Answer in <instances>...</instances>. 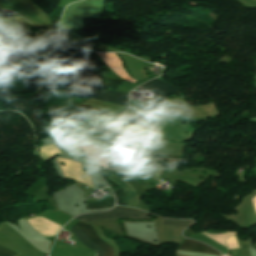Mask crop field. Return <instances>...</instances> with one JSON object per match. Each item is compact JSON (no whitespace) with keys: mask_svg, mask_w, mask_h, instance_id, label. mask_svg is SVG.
Listing matches in <instances>:
<instances>
[{"mask_svg":"<svg viewBox=\"0 0 256 256\" xmlns=\"http://www.w3.org/2000/svg\"><path fill=\"white\" fill-rule=\"evenodd\" d=\"M114 193H115L116 198H117V204L126 206V195L123 192V190L119 188L116 191H114Z\"/></svg>","mask_w":256,"mask_h":256,"instance_id":"obj_10","label":"crop field"},{"mask_svg":"<svg viewBox=\"0 0 256 256\" xmlns=\"http://www.w3.org/2000/svg\"><path fill=\"white\" fill-rule=\"evenodd\" d=\"M207 246L198 241L186 239L185 242L181 245V247L179 249L185 250V251L211 253V254L218 255L219 252H217Z\"/></svg>","mask_w":256,"mask_h":256,"instance_id":"obj_7","label":"crop field"},{"mask_svg":"<svg viewBox=\"0 0 256 256\" xmlns=\"http://www.w3.org/2000/svg\"><path fill=\"white\" fill-rule=\"evenodd\" d=\"M127 95L125 93L108 91L95 94L92 98L127 106Z\"/></svg>","mask_w":256,"mask_h":256,"instance_id":"obj_6","label":"crop field"},{"mask_svg":"<svg viewBox=\"0 0 256 256\" xmlns=\"http://www.w3.org/2000/svg\"><path fill=\"white\" fill-rule=\"evenodd\" d=\"M214 238V237H213ZM218 241V240H217ZM228 254V253H227ZM227 254H225V255H227Z\"/></svg>","mask_w":256,"mask_h":256,"instance_id":"obj_13","label":"crop field"},{"mask_svg":"<svg viewBox=\"0 0 256 256\" xmlns=\"http://www.w3.org/2000/svg\"><path fill=\"white\" fill-rule=\"evenodd\" d=\"M130 124H140V125H150L152 126L147 120H145L142 115L139 112L128 114V115H123L120 117L115 118V126H120V125H130ZM136 133L128 134V135H133ZM124 135V137L128 136Z\"/></svg>","mask_w":256,"mask_h":256,"instance_id":"obj_5","label":"crop field"},{"mask_svg":"<svg viewBox=\"0 0 256 256\" xmlns=\"http://www.w3.org/2000/svg\"><path fill=\"white\" fill-rule=\"evenodd\" d=\"M113 199H105L101 201H89L86 209L104 208L113 206Z\"/></svg>","mask_w":256,"mask_h":256,"instance_id":"obj_8","label":"crop field"},{"mask_svg":"<svg viewBox=\"0 0 256 256\" xmlns=\"http://www.w3.org/2000/svg\"><path fill=\"white\" fill-rule=\"evenodd\" d=\"M141 87H144L146 89H149L151 91L155 92L154 98L151 99L149 108L154 109H164L166 99L169 94H178V89L167 84L164 82H161L157 79L152 80L145 83Z\"/></svg>","mask_w":256,"mask_h":256,"instance_id":"obj_3","label":"crop field"},{"mask_svg":"<svg viewBox=\"0 0 256 256\" xmlns=\"http://www.w3.org/2000/svg\"><path fill=\"white\" fill-rule=\"evenodd\" d=\"M162 225H180V226H189L193 222L190 220H169L161 218Z\"/></svg>","mask_w":256,"mask_h":256,"instance_id":"obj_9","label":"crop field"},{"mask_svg":"<svg viewBox=\"0 0 256 256\" xmlns=\"http://www.w3.org/2000/svg\"><path fill=\"white\" fill-rule=\"evenodd\" d=\"M0 11H1V9H0Z\"/></svg>","mask_w":256,"mask_h":256,"instance_id":"obj_14","label":"crop field"},{"mask_svg":"<svg viewBox=\"0 0 256 256\" xmlns=\"http://www.w3.org/2000/svg\"><path fill=\"white\" fill-rule=\"evenodd\" d=\"M108 218H137V219H151L147 214L129 210L127 208H119L107 212V213H98V214H89L79 216L76 219H80L86 222L97 220V219H108Z\"/></svg>","mask_w":256,"mask_h":256,"instance_id":"obj_4","label":"crop field"},{"mask_svg":"<svg viewBox=\"0 0 256 256\" xmlns=\"http://www.w3.org/2000/svg\"><path fill=\"white\" fill-rule=\"evenodd\" d=\"M255 174H256V172H255Z\"/></svg>","mask_w":256,"mask_h":256,"instance_id":"obj_16","label":"crop field"},{"mask_svg":"<svg viewBox=\"0 0 256 256\" xmlns=\"http://www.w3.org/2000/svg\"><path fill=\"white\" fill-rule=\"evenodd\" d=\"M16 253H14L13 251L0 246V256H15Z\"/></svg>","mask_w":256,"mask_h":256,"instance_id":"obj_11","label":"crop field"},{"mask_svg":"<svg viewBox=\"0 0 256 256\" xmlns=\"http://www.w3.org/2000/svg\"><path fill=\"white\" fill-rule=\"evenodd\" d=\"M19 18V17H18ZM17 19V18H16Z\"/></svg>","mask_w":256,"mask_h":256,"instance_id":"obj_15","label":"crop field"},{"mask_svg":"<svg viewBox=\"0 0 256 256\" xmlns=\"http://www.w3.org/2000/svg\"><path fill=\"white\" fill-rule=\"evenodd\" d=\"M34 32H0V53L24 55L31 47Z\"/></svg>","mask_w":256,"mask_h":256,"instance_id":"obj_1","label":"crop field"},{"mask_svg":"<svg viewBox=\"0 0 256 256\" xmlns=\"http://www.w3.org/2000/svg\"><path fill=\"white\" fill-rule=\"evenodd\" d=\"M90 237L92 238L98 245H100L103 249L98 246L92 239H90L79 227ZM76 225H74L71 230L73 231L74 235L79 239L80 242L86 244L88 247H90L92 250L98 251L97 256H113L114 255V249L109 244L102 241L94 228L88 224L79 222ZM85 245V246H86Z\"/></svg>","mask_w":256,"mask_h":256,"instance_id":"obj_2","label":"crop field"},{"mask_svg":"<svg viewBox=\"0 0 256 256\" xmlns=\"http://www.w3.org/2000/svg\"><path fill=\"white\" fill-rule=\"evenodd\" d=\"M11 71L0 69V79H6L10 75Z\"/></svg>","mask_w":256,"mask_h":256,"instance_id":"obj_12","label":"crop field"}]
</instances>
